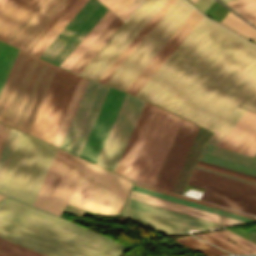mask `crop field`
Returning <instances> with one entry per match:
<instances>
[{
	"instance_id": "8a807250",
	"label": "crop field",
	"mask_w": 256,
	"mask_h": 256,
	"mask_svg": "<svg viewBox=\"0 0 256 256\" xmlns=\"http://www.w3.org/2000/svg\"><path fill=\"white\" fill-rule=\"evenodd\" d=\"M136 96L215 133L237 105L256 111V46L203 17Z\"/></svg>"
},
{
	"instance_id": "ac0d7876",
	"label": "crop field",
	"mask_w": 256,
	"mask_h": 256,
	"mask_svg": "<svg viewBox=\"0 0 256 256\" xmlns=\"http://www.w3.org/2000/svg\"><path fill=\"white\" fill-rule=\"evenodd\" d=\"M0 237L47 256H118L126 247L7 197L0 202Z\"/></svg>"
},
{
	"instance_id": "34b2d1b8",
	"label": "crop field",
	"mask_w": 256,
	"mask_h": 256,
	"mask_svg": "<svg viewBox=\"0 0 256 256\" xmlns=\"http://www.w3.org/2000/svg\"><path fill=\"white\" fill-rule=\"evenodd\" d=\"M56 68L20 50L0 93V121L27 133Z\"/></svg>"
},
{
	"instance_id": "412701ff",
	"label": "crop field",
	"mask_w": 256,
	"mask_h": 256,
	"mask_svg": "<svg viewBox=\"0 0 256 256\" xmlns=\"http://www.w3.org/2000/svg\"><path fill=\"white\" fill-rule=\"evenodd\" d=\"M57 150L21 133L0 178V193L32 205Z\"/></svg>"
},
{
	"instance_id": "f4fd0767",
	"label": "crop field",
	"mask_w": 256,
	"mask_h": 256,
	"mask_svg": "<svg viewBox=\"0 0 256 256\" xmlns=\"http://www.w3.org/2000/svg\"><path fill=\"white\" fill-rule=\"evenodd\" d=\"M181 120L153 105L121 175L152 186Z\"/></svg>"
},
{
	"instance_id": "dd49c442",
	"label": "crop field",
	"mask_w": 256,
	"mask_h": 256,
	"mask_svg": "<svg viewBox=\"0 0 256 256\" xmlns=\"http://www.w3.org/2000/svg\"><path fill=\"white\" fill-rule=\"evenodd\" d=\"M39 0H6L0 7V40L4 41ZM73 0H40L5 42L27 52Z\"/></svg>"
},
{
	"instance_id": "e52e79f7",
	"label": "crop field",
	"mask_w": 256,
	"mask_h": 256,
	"mask_svg": "<svg viewBox=\"0 0 256 256\" xmlns=\"http://www.w3.org/2000/svg\"><path fill=\"white\" fill-rule=\"evenodd\" d=\"M132 184L87 161L68 204L100 214H119Z\"/></svg>"
},
{
	"instance_id": "d8731c3e",
	"label": "crop field",
	"mask_w": 256,
	"mask_h": 256,
	"mask_svg": "<svg viewBox=\"0 0 256 256\" xmlns=\"http://www.w3.org/2000/svg\"><path fill=\"white\" fill-rule=\"evenodd\" d=\"M193 10L177 0L105 84L124 91Z\"/></svg>"
},
{
	"instance_id": "5a996713",
	"label": "crop field",
	"mask_w": 256,
	"mask_h": 256,
	"mask_svg": "<svg viewBox=\"0 0 256 256\" xmlns=\"http://www.w3.org/2000/svg\"><path fill=\"white\" fill-rule=\"evenodd\" d=\"M85 162L59 149L33 205L60 215L70 199Z\"/></svg>"
},
{
	"instance_id": "3316defc",
	"label": "crop field",
	"mask_w": 256,
	"mask_h": 256,
	"mask_svg": "<svg viewBox=\"0 0 256 256\" xmlns=\"http://www.w3.org/2000/svg\"><path fill=\"white\" fill-rule=\"evenodd\" d=\"M166 0H144L81 76L97 81Z\"/></svg>"
},
{
	"instance_id": "28ad6ade",
	"label": "crop field",
	"mask_w": 256,
	"mask_h": 256,
	"mask_svg": "<svg viewBox=\"0 0 256 256\" xmlns=\"http://www.w3.org/2000/svg\"><path fill=\"white\" fill-rule=\"evenodd\" d=\"M79 76L57 68L29 134L50 142Z\"/></svg>"
},
{
	"instance_id": "d1516ede",
	"label": "crop field",
	"mask_w": 256,
	"mask_h": 256,
	"mask_svg": "<svg viewBox=\"0 0 256 256\" xmlns=\"http://www.w3.org/2000/svg\"><path fill=\"white\" fill-rule=\"evenodd\" d=\"M108 88L89 80L60 148L79 155Z\"/></svg>"
},
{
	"instance_id": "22f410ed",
	"label": "crop field",
	"mask_w": 256,
	"mask_h": 256,
	"mask_svg": "<svg viewBox=\"0 0 256 256\" xmlns=\"http://www.w3.org/2000/svg\"><path fill=\"white\" fill-rule=\"evenodd\" d=\"M144 101L127 94L97 160V164L115 171Z\"/></svg>"
},
{
	"instance_id": "cbeb9de0",
	"label": "crop field",
	"mask_w": 256,
	"mask_h": 256,
	"mask_svg": "<svg viewBox=\"0 0 256 256\" xmlns=\"http://www.w3.org/2000/svg\"><path fill=\"white\" fill-rule=\"evenodd\" d=\"M106 10L95 0H88L41 58L59 66Z\"/></svg>"
},
{
	"instance_id": "5142ce71",
	"label": "crop field",
	"mask_w": 256,
	"mask_h": 256,
	"mask_svg": "<svg viewBox=\"0 0 256 256\" xmlns=\"http://www.w3.org/2000/svg\"><path fill=\"white\" fill-rule=\"evenodd\" d=\"M125 95L123 92L109 88L80 157L96 162Z\"/></svg>"
},
{
	"instance_id": "d9b57169",
	"label": "crop field",
	"mask_w": 256,
	"mask_h": 256,
	"mask_svg": "<svg viewBox=\"0 0 256 256\" xmlns=\"http://www.w3.org/2000/svg\"><path fill=\"white\" fill-rule=\"evenodd\" d=\"M202 17V15L194 10L192 14L185 20V22L179 27V29L166 42V44L160 49V51L147 64V66L134 79V81L127 87L125 92L135 95Z\"/></svg>"
},
{
	"instance_id": "733c2abd",
	"label": "crop field",
	"mask_w": 256,
	"mask_h": 256,
	"mask_svg": "<svg viewBox=\"0 0 256 256\" xmlns=\"http://www.w3.org/2000/svg\"><path fill=\"white\" fill-rule=\"evenodd\" d=\"M256 176V159L205 144L198 158Z\"/></svg>"
},
{
	"instance_id": "4a817a6b",
	"label": "crop field",
	"mask_w": 256,
	"mask_h": 256,
	"mask_svg": "<svg viewBox=\"0 0 256 256\" xmlns=\"http://www.w3.org/2000/svg\"><path fill=\"white\" fill-rule=\"evenodd\" d=\"M122 216L131 218L137 222H140L150 227L156 232L163 233L165 235L184 234V233H187L186 231L188 229L205 230L199 227L188 225L182 222H178L175 220H171L168 218H164L161 216H157L154 214H150V213L133 209L130 207H126V206L124 208Z\"/></svg>"
},
{
	"instance_id": "bc2a9ffb",
	"label": "crop field",
	"mask_w": 256,
	"mask_h": 256,
	"mask_svg": "<svg viewBox=\"0 0 256 256\" xmlns=\"http://www.w3.org/2000/svg\"><path fill=\"white\" fill-rule=\"evenodd\" d=\"M129 198L133 199V200L140 201V202H144V203H147V204L162 207V208H165V209L180 212V213H183V214L198 217V218H201V219L216 222V223H219V224L227 225V226L245 224V223L240 222V221H236V220H233V219H230V218H226V217H223V216H219V215H216V214L205 212V211H202V210H199V209H195V208H192V207L181 205V204H178V203H175V202H171V201H168V200H164V199H161V198H157V197L150 196V195L140 193V192H137V191H133V190L131 191V194H130Z\"/></svg>"
},
{
	"instance_id": "214f88e0",
	"label": "crop field",
	"mask_w": 256,
	"mask_h": 256,
	"mask_svg": "<svg viewBox=\"0 0 256 256\" xmlns=\"http://www.w3.org/2000/svg\"><path fill=\"white\" fill-rule=\"evenodd\" d=\"M255 130L256 113L247 110L218 147L237 152Z\"/></svg>"
},
{
	"instance_id": "92a150f3",
	"label": "crop field",
	"mask_w": 256,
	"mask_h": 256,
	"mask_svg": "<svg viewBox=\"0 0 256 256\" xmlns=\"http://www.w3.org/2000/svg\"><path fill=\"white\" fill-rule=\"evenodd\" d=\"M192 125V123L184 119L182 120L179 129L175 135V138L172 142V145L168 151V154L164 160V163L160 169V172L157 176V179L154 183L155 186L164 188Z\"/></svg>"
},
{
	"instance_id": "dafd665d",
	"label": "crop field",
	"mask_w": 256,
	"mask_h": 256,
	"mask_svg": "<svg viewBox=\"0 0 256 256\" xmlns=\"http://www.w3.org/2000/svg\"><path fill=\"white\" fill-rule=\"evenodd\" d=\"M190 178L198 180V181H202V182H205V183H209V184H212V185L220 186V187H223V188H227V189H230V190H234V191H237V192H241V193H244V194H248V195H250L251 193L256 194V186H254V187L248 186V185H245V184H242V183H238V182H235V181H232V180H228V179L218 177L216 175L206 173V172H202V171L195 170V169L193 170L192 175H191ZM191 179H190V181H194V182L201 183V184H204V185H208V186H211V187H214V188H218V189H221V190H225V191H228V192H232V193H235V194L246 196V197H249V198H252V199H256V195H253V194L248 196V195H244V194L237 193V192H234V191H230V190H227V189L219 188V187H216V186H212V185L205 184V183L198 182V181L191 180Z\"/></svg>"
},
{
	"instance_id": "00972430",
	"label": "crop field",
	"mask_w": 256,
	"mask_h": 256,
	"mask_svg": "<svg viewBox=\"0 0 256 256\" xmlns=\"http://www.w3.org/2000/svg\"><path fill=\"white\" fill-rule=\"evenodd\" d=\"M175 1L176 0H167L165 2V4L159 9V11L152 17V19L146 24V26L139 32V34L133 39V41L126 47V49L113 62V64L107 69V71L100 77L98 82L102 84L106 82V80L119 67V65L125 60V58L131 53V51L138 45V43L144 38V36L150 31V29L157 23V21L163 16V14Z\"/></svg>"
},
{
	"instance_id": "a9b5d70f",
	"label": "crop field",
	"mask_w": 256,
	"mask_h": 256,
	"mask_svg": "<svg viewBox=\"0 0 256 256\" xmlns=\"http://www.w3.org/2000/svg\"><path fill=\"white\" fill-rule=\"evenodd\" d=\"M113 15L108 10L99 19V21L93 26V28L87 33V35L80 41V43L74 48V50L68 55V57L62 62L60 67L70 69L71 66L77 61V59L83 54V52L89 47L94 39L100 34V32L106 27V25L112 20Z\"/></svg>"
},
{
	"instance_id": "4177f3b9",
	"label": "crop field",
	"mask_w": 256,
	"mask_h": 256,
	"mask_svg": "<svg viewBox=\"0 0 256 256\" xmlns=\"http://www.w3.org/2000/svg\"><path fill=\"white\" fill-rule=\"evenodd\" d=\"M86 1L87 0H75L58 19V21L51 27V29L33 47L30 53L39 57Z\"/></svg>"
},
{
	"instance_id": "730fd06b",
	"label": "crop field",
	"mask_w": 256,
	"mask_h": 256,
	"mask_svg": "<svg viewBox=\"0 0 256 256\" xmlns=\"http://www.w3.org/2000/svg\"><path fill=\"white\" fill-rule=\"evenodd\" d=\"M123 21H121L116 16L109 23V25L104 29L101 35L96 39V41L88 48V50L81 56V58L73 65L70 71L79 74L83 68L93 59V57L99 52L111 34L117 30Z\"/></svg>"
},
{
	"instance_id": "eef30255",
	"label": "crop field",
	"mask_w": 256,
	"mask_h": 256,
	"mask_svg": "<svg viewBox=\"0 0 256 256\" xmlns=\"http://www.w3.org/2000/svg\"><path fill=\"white\" fill-rule=\"evenodd\" d=\"M87 81H88L87 79H84L81 77L79 78V80L76 84V87L71 95V98L67 104V107L63 113V116L59 122V125L54 133V136H53L51 142H50L51 144H53L57 147L59 146Z\"/></svg>"
},
{
	"instance_id": "ae1a2a85",
	"label": "crop field",
	"mask_w": 256,
	"mask_h": 256,
	"mask_svg": "<svg viewBox=\"0 0 256 256\" xmlns=\"http://www.w3.org/2000/svg\"><path fill=\"white\" fill-rule=\"evenodd\" d=\"M129 199L127 200V202L125 204L126 206H130V207H133V208H137V209H140V210H144V211H147V212H151V213H154V214H158V215H161V216H165V217H168V218H172V219H175V220H179V221H182V222H186V223L193 224V225L200 226V227L207 228V229H213V228H217V227H225V226H221V225L214 224V223H211V222H207V221H204V220L196 219V218H193V217H189V216H186V215H182V214H179V213H175V212H172V211H168V210L161 209V208H158V207L150 206V205L143 204V203L136 202V201L129 200Z\"/></svg>"
},
{
	"instance_id": "d3111659",
	"label": "crop field",
	"mask_w": 256,
	"mask_h": 256,
	"mask_svg": "<svg viewBox=\"0 0 256 256\" xmlns=\"http://www.w3.org/2000/svg\"><path fill=\"white\" fill-rule=\"evenodd\" d=\"M18 51V49L0 42V91Z\"/></svg>"
},
{
	"instance_id": "750c4746",
	"label": "crop field",
	"mask_w": 256,
	"mask_h": 256,
	"mask_svg": "<svg viewBox=\"0 0 256 256\" xmlns=\"http://www.w3.org/2000/svg\"><path fill=\"white\" fill-rule=\"evenodd\" d=\"M133 190L144 192V193H147V194H150V195H154V196H157V197H161V198H164V199L175 201V202H178V203H181V204H185V205H188V206L199 208V209L209 211V212H212V213H216V214H219V215H223V216H226V217H230V218L240 220V221H243V222L250 223L252 221H255V220H251V219L244 218V217H241V216H237V215H234V214H230V213H227V212H223V211H220V210H216V209H213V208H209V207H206V206H202V205H199V204L191 203V202H188V201H184V200H181V199H177V198H174V197H170V196H167V195H163V194H160V193H156V192H153V191L142 189V188H139V187L134 186Z\"/></svg>"
},
{
	"instance_id": "bd1437ed",
	"label": "crop field",
	"mask_w": 256,
	"mask_h": 256,
	"mask_svg": "<svg viewBox=\"0 0 256 256\" xmlns=\"http://www.w3.org/2000/svg\"><path fill=\"white\" fill-rule=\"evenodd\" d=\"M151 106H152L151 104H149L147 102L145 103V105L143 107V110H142V112H141V114L139 116V119H138V121L136 123V126H135V128H134V130L132 132V135H131V137L129 139V142H128L126 148H125V151H124V153L122 155V158H121V160H120V162L118 164V167H117L115 172H117L119 174L121 173V171H122V169H123V167L125 165V162H126L128 156H129L130 152H131V149H132V147H133V145H134V143L136 141V138H137V136H138V134H139V132L141 130V127H142V125H143V123H144V121H145V119L147 117V114H148Z\"/></svg>"
},
{
	"instance_id": "1d83c4d3",
	"label": "crop field",
	"mask_w": 256,
	"mask_h": 256,
	"mask_svg": "<svg viewBox=\"0 0 256 256\" xmlns=\"http://www.w3.org/2000/svg\"><path fill=\"white\" fill-rule=\"evenodd\" d=\"M220 22L233 28L234 30L245 35L246 37L254 41L256 40V29H254L252 26L244 22L236 15L229 12Z\"/></svg>"
},
{
	"instance_id": "120bbe31",
	"label": "crop field",
	"mask_w": 256,
	"mask_h": 256,
	"mask_svg": "<svg viewBox=\"0 0 256 256\" xmlns=\"http://www.w3.org/2000/svg\"><path fill=\"white\" fill-rule=\"evenodd\" d=\"M245 111L246 109L237 107L235 111L229 116V118L224 122V124L218 129V131H215L216 133L207 141V143L217 146Z\"/></svg>"
},
{
	"instance_id": "d32e631a",
	"label": "crop field",
	"mask_w": 256,
	"mask_h": 256,
	"mask_svg": "<svg viewBox=\"0 0 256 256\" xmlns=\"http://www.w3.org/2000/svg\"><path fill=\"white\" fill-rule=\"evenodd\" d=\"M0 256H45L0 238Z\"/></svg>"
},
{
	"instance_id": "5866460e",
	"label": "crop field",
	"mask_w": 256,
	"mask_h": 256,
	"mask_svg": "<svg viewBox=\"0 0 256 256\" xmlns=\"http://www.w3.org/2000/svg\"><path fill=\"white\" fill-rule=\"evenodd\" d=\"M20 133V131L11 128L6 137V140L0 150V176L5 168V165L10 157V154L16 144Z\"/></svg>"
},
{
	"instance_id": "028f5c9d",
	"label": "crop field",
	"mask_w": 256,
	"mask_h": 256,
	"mask_svg": "<svg viewBox=\"0 0 256 256\" xmlns=\"http://www.w3.org/2000/svg\"><path fill=\"white\" fill-rule=\"evenodd\" d=\"M198 128H199L198 126L193 125V127H192V129L190 131V134H189V136H188V138L186 140V143H185V145H184V147L182 149V152H181V154H180V156H179V158L177 160V163H176V165H175V167L173 169V172H172V174H171V176L169 178V181H168V183H167V185L165 187V190H169V191L171 190V188H172V186L174 184V181H175V179H176V177L178 175V172H179V170H180V168L182 166V163H183V161H184V159H185V157L187 155V152H188V150H189V148L191 146V143H192V141H193V139L195 137V134H196Z\"/></svg>"
},
{
	"instance_id": "e1f06a70",
	"label": "crop field",
	"mask_w": 256,
	"mask_h": 256,
	"mask_svg": "<svg viewBox=\"0 0 256 256\" xmlns=\"http://www.w3.org/2000/svg\"><path fill=\"white\" fill-rule=\"evenodd\" d=\"M176 240L208 255V256H214V255H228L227 253L221 251V250H218L192 236H186V237H180V238H175ZM175 240V241H176ZM177 241V242H178Z\"/></svg>"
},
{
	"instance_id": "0bd39190",
	"label": "crop field",
	"mask_w": 256,
	"mask_h": 256,
	"mask_svg": "<svg viewBox=\"0 0 256 256\" xmlns=\"http://www.w3.org/2000/svg\"><path fill=\"white\" fill-rule=\"evenodd\" d=\"M134 185H135V186H139V187H142V188H146V189H149V190H153V191H156V192H160V193H163V194H167V195H170V196H174V197H177V198H181V199L188 200V201H191V202L199 203V204H202V205H206V206H209V207H213V208H216V209H220V210H223V211H227V212H230V213H234V214H237V215H241V216L248 217V218H251V219H255V220H256V217L251 216V215H247V214H244V213H240V212H237V211H233V210H230V209H226V208H223V207H219V206H216V205H212V204H209V203H205V202H202V201L194 200V199H191V198H187V197H184V196H180V195H177V194H173V193H170V192H166V191H163V190H159V189H156V188H152V187H149V186H145V185H142V184L135 183Z\"/></svg>"
},
{
	"instance_id": "b80d0937",
	"label": "crop field",
	"mask_w": 256,
	"mask_h": 256,
	"mask_svg": "<svg viewBox=\"0 0 256 256\" xmlns=\"http://www.w3.org/2000/svg\"><path fill=\"white\" fill-rule=\"evenodd\" d=\"M215 233L234 241L238 245L244 247L245 249H247L253 253H256V244H254V243H252V242H250V241H248V240H246L228 230L215 231Z\"/></svg>"
},
{
	"instance_id": "c035e120",
	"label": "crop field",
	"mask_w": 256,
	"mask_h": 256,
	"mask_svg": "<svg viewBox=\"0 0 256 256\" xmlns=\"http://www.w3.org/2000/svg\"><path fill=\"white\" fill-rule=\"evenodd\" d=\"M238 153L246 154L253 157L256 153V132L249 140L241 147Z\"/></svg>"
},
{
	"instance_id": "c21b1889",
	"label": "crop field",
	"mask_w": 256,
	"mask_h": 256,
	"mask_svg": "<svg viewBox=\"0 0 256 256\" xmlns=\"http://www.w3.org/2000/svg\"><path fill=\"white\" fill-rule=\"evenodd\" d=\"M196 236H198V237H200V238H202V239H204V240H206L210 243H213V244H215V245H217V246H219V247H221V248H223V249H225V250H227L231 253L243 254V253H241V252H239V251H237V250H235V249H233V248H231V247H229V246H227V245H225V244H223V243H221V242H219V241H217V240H215V239H213V238H211V237H209V236H207L203 233L202 234H197Z\"/></svg>"
},
{
	"instance_id": "03da06ac",
	"label": "crop field",
	"mask_w": 256,
	"mask_h": 256,
	"mask_svg": "<svg viewBox=\"0 0 256 256\" xmlns=\"http://www.w3.org/2000/svg\"><path fill=\"white\" fill-rule=\"evenodd\" d=\"M141 1L142 0H133L119 17L125 20Z\"/></svg>"
},
{
	"instance_id": "b54c1fbb",
	"label": "crop field",
	"mask_w": 256,
	"mask_h": 256,
	"mask_svg": "<svg viewBox=\"0 0 256 256\" xmlns=\"http://www.w3.org/2000/svg\"><path fill=\"white\" fill-rule=\"evenodd\" d=\"M131 1L132 0H120L111 11L119 16Z\"/></svg>"
},
{
	"instance_id": "5d738f31",
	"label": "crop field",
	"mask_w": 256,
	"mask_h": 256,
	"mask_svg": "<svg viewBox=\"0 0 256 256\" xmlns=\"http://www.w3.org/2000/svg\"><path fill=\"white\" fill-rule=\"evenodd\" d=\"M214 0H197L194 4L197 5L204 12L212 4Z\"/></svg>"
},
{
	"instance_id": "d23c7cc5",
	"label": "crop field",
	"mask_w": 256,
	"mask_h": 256,
	"mask_svg": "<svg viewBox=\"0 0 256 256\" xmlns=\"http://www.w3.org/2000/svg\"><path fill=\"white\" fill-rule=\"evenodd\" d=\"M196 165L204 167V168H208V169H211V170H215V171H218V172H222V173H225V174L233 175V176H236V177H240V178H243V179H247V180L256 182V180H254V179L247 178V177H244V176H240V175H237V174H233V173H230V172H226V171H223V170H219V169H216V168H212V167H209V166H205V165H202V164H198L197 163Z\"/></svg>"
},
{
	"instance_id": "425ffa30",
	"label": "crop field",
	"mask_w": 256,
	"mask_h": 256,
	"mask_svg": "<svg viewBox=\"0 0 256 256\" xmlns=\"http://www.w3.org/2000/svg\"><path fill=\"white\" fill-rule=\"evenodd\" d=\"M9 129H10L9 127L0 123V148L5 140V137L9 131Z\"/></svg>"
},
{
	"instance_id": "25e5ab78",
	"label": "crop field",
	"mask_w": 256,
	"mask_h": 256,
	"mask_svg": "<svg viewBox=\"0 0 256 256\" xmlns=\"http://www.w3.org/2000/svg\"><path fill=\"white\" fill-rule=\"evenodd\" d=\"M245 17H247L250 21H252L254 24L256 23V8L251 9L249 11L241 13Z\"/></svg>"
},
{
	"instance_id": "73cf0c24",
	"label": "crop field",
	"mask_w": 256,
	"mask_h": 256,
	"mask_svg": "<svg viewBox=\"0 0 256 256\" xmlns=\"http://www.w3.org/2000/svg\"><path fill=\"white\" fill-rule=\"evenodd\" d=\"M197 162L256 179V177H254V176H251V175H248V174H244V173H241V172H237V171H234V170H230V169H227V168H223V167H220V166H216V165H213V164H210V163H206V162L199 161V160Z\"/></svg>"
},
{
	"instance_id": "89e229c0",
	"label": "crop field",
	"mask_w": 256,
	"mask_h": 256,
	"mask_svg": "<svg viewBox=\"0 0 256 256\" xmlns=\"http://www.w3.org/2000/svg\"><path fill=\"white\" fill-rule=\"evenodd\" d=\"M254 7H256V1L251 2V3H249V4H246V5H244V6H241V7H239V8H236V9H234V10L237 11L238 13H240V12L249 10V9H251V8H254Z\"/></svg>"
},
{
	"instance_id": "1f2cbd36",
	"label": "crop field",
	"mask_w": 256,
	"mask_h": 256,
	"mask_svg": "<svg viewBox=\"0 0 256 256\" xmlns=\"http://www.w3.org/2000/svg\"><path fill=\"white\" fill-rule=\"evenodd\" d=\"M250 1H253V0H232V1H229L227 2L230 6H232L233 8L237 7V6H240V5H243L245 3H248Z\"/></svg>"
},
{
	"instance_id": "dbb93151",
	"label": "crop field",
	"mask_w": 256,
	"mask_h": 256,
	"mask_svg": "<svg viewBox=\"0 0 256 256\" xmlns=\"http://www.w3.org/2000/svg\"><path fill=\"white\" fill-rule=\"evenodd\" d=\"M102 4H104L110 10L119 0H99Z\"/></svg>"
},
{
	"instance_id": "0fb4a251",
	"label": "crop field",
	"mask_w": 256,
	"mask_h": 256,
	"mask_svg": "<svg viewBox=\"0 0 256 256\" xmlns=\"http://www.w3.org/2000/svg\"><path fill=\"white\" fill-rule=\"evenodd\" d=\"M196 168H200V169H203V170H207V171H210V172H214V173H217V174H221V175H224V176H228V177H231V178H235V179H238V180H242V181H245V182H249V183H252V184H256V183H254V182H250V181L243 180V179H240V178H236V177H233V176L225 175V174L218 173V172H215V171H211V170H208V169H204V168H201V167H197V166H196Z\"/></svg>"
},
{
	"instance_id": "1d79db26",
	"label": "crop field",
	"mask_w": 256,
	"mask_h": 256,
	"mask_svg": "<svg viewBox=\"0 0 256 256\" xmlns=\"http://www.w3.org/2000/svg\"><path fill=\"white\" fill-rule=\"evenodd\" d=\"M247 231H249V232H251V233L256 235V228L255 227H251Z\"/></svg>"
},
{
	"instance_id": "9d1cf04e",
	"label": "crop field",
	"mask_w": 256,
	"mask_h": 256,
	"mask_svg": "<svg viewBox=\"0 0 256 256\" xmlns=\"http://www.w3.org/2000/svg\"><path fill=\"white\" fill-rule=\"evenodd\" d=\"M4 1H5V0H0V6L3 4Z\"/></svg>"
},
{
	"instance_id": "447ae74e",
	"label": "crop field",
	"mask_w": 256,
	"mask_h": 256,
	"mask_svg": "<svg viewBox=\"0 0 256 256\" xmlns=\"http://www.w3.org/2000/svg\"><path fill=\"white\" fill-rule=\"evenodd\" d=\"M2 197H4V196L0 194V199H1ZM2 199H3V198H2Z\"/></svg>"
},
{
	"instance_id": "0765c3eb",
	"label": "crop field",
	"mask_w": 256,
	"mask_h": 256,
	"mask_svg": "<svg viewBox=\"0 0 256 256\" xmlns=\"http://www.w3.org/2000/svg\"><path fill=\"white\" fill-rule=\"evenodd\" d=\"M193 3L196 1V0H191Z\"/></svg>"
},
{
	"instance_id": "db79e9e6",
	"label": "crop field",
	"mask_w": 256,
	"mask_h": 256,
	"mask_svg": "<svg viewBox=\"0 0 256 256\" xmlns=\"http://www.w3.org/2000/svg\"><path fill=\"white\" fill-rule=\"evenodd\" d=\"M224 2L228 1V0H223Z\"/></svg>"
},
{
	"instance_id": "7b73153f",
	"label": "crop field",
	"mask_w": 256,
	"mask_h": 256,
	"mask_svg": "<svg viewBox=\"0 0 256 256\" xmlns=\"http://www.w3.org/2000/svg\"><path fill=\"white\" fill-rule=\"evenodd\" d=\"M256 26V25H255Z\"/></svg>"
}]
</instances>
